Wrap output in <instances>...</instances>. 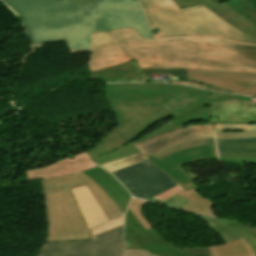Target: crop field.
Segmentation results:
<instances>
[{"label":"crop field","mask_w":256,"mask_h":256,"mask_svg":"<svg viewBox=\"0 0 256 256\" xmlns=\"http://www.w3.org/2000/svg\"><path fill=\"white\" fill-rule=\"evenodd\" d=\"M108 101L118 126L106 134L101 144L117 135L129 143L156 122L170 115L158 106L171 98L165 84H105Z\"/></svg>","instance_id":"34b2d1b8"},{"label":"crop field","mask_w":256,"mask_h":256,"mask_svg":"<svg viewBox=\"0 0 256 256\" xmlns=\"http://www.w3.org/2000/svg\"><path fill=\"white\" fill-rule=\"evenodd\" d=\"M228 5L248 17L256 23V6L246 0H230L226 2ZM253 6V7H251ZM244 16V17H245Z\"/></svg>","instance_id":"730fd06b"},{"label":"crop field","mask_w":256,"mask_h":256,"mask_svg":"<svg viewBox=\"0 0 256 256\" xmlns=\"http://www.w3.org/2000/svg\"><path fill=\"white\" fill-rule=\"evenodd\" d=\"M215 139L256 138V132H214Z\"/></svg>","instance_id":"1d83c4d3"},{"label":"crop field","mask_w":256,"mask_h":256,"mask_svg":"<svg viewBox=\"0 0 256 256\" xmlns=\"http://www.w3.org/2000/svg\"><path fill=\"white\" fill-rule=\"evenodd\" d=\"M146 157L185 190L191 187L195 190L198 188L191 182L185 174L186 172L184 173L180 167L181 165L199 159H218L215 144L186 148L160 159H158L154 153Z\"/></svg>","instance_id":"d1516ede"},{"label":"crop field","mask_w":256,"mask_h":256,"mask_svg":"<svg viewBox=\"0 0 256 256\" xmlns=\"http://www.w3.org/2000/svg\"><path fill=\"white\" fill-rule=\"evenodd\" d=\"M219 155L256 157V139L216 140Z\"/></svg>","instance_id":"92a150f3"},{"label":"crop field","mask_w":256,"mask_h":256,"mask_svg":"<svg viewBox=\"0 0 256 256\" xmlns=\"http://www.w3.org/2000/svg\"><path fill=\"white\" fill-rule=\"evenodd\" d=\"M72 192L89 229L107 221L87 186L72 189Z\"/></svg>","instance_id":"214f88e0"},{"label":"crop field","mask_w":256,"mask_h":256,"mask_svg":"<svg viewBox=\"0 0 256 256\" xmlns=\"http://www.w3.org/2000/svg\"><path fill=\"white\" fill-rule=\"evenodd\" d=\"M200 124H211V123H197V124H189V125H186V126H183V127H188L190 125H200ZM179 128H182V127H179ZM175 129H178L176 128L175 126H173L170 122H168L167 124L161 126L160 128L148 133L147 135L143 136L142 138L132 142V144L134 143H137V142H140V141H143V140H146V139H149V138H152V137H155L157 135H160V134H163L165 132H170V131H173Z\"/></svg>","instance_id":"bd1437ed"},{"label":"crop field","mask_w":256,"mask_h":256,"mask_svg":"<svg viewBox=\"0 0 256 256\" xmlns=\"http://www.w3.org/2000/svg\"><path fill=\"white\" fill-rule=\"evenodd\" d=\"M249 31H251V32H253V33H255V34H256V27H255V28H253V29H251V30H249Z\"/></svg>","instance_id":"c035e120"},{"label":"crop field","mask_w":256,"mask_h":256,"mask_svg":"<svg viewBox=\"0 0 256 256\" xmlns=\"http://www.w3.org/2000/svg\"><path fill=\"white\" fill-rule=\"evenodd\" d=\"M82 173L95 181L113 199L121 211L125 212L131 195L113 176L99 167L82 171Z\"/></svg>","instance_id":"bc2a9ffb"},{"label":"crop field","mask_w":256,"mask_h":256,"mask_svg":"<svg viewBox=\"0 0 256 256\" xmlns=\"http://www.w3.org/2000/svg\"><path fill=\"white\" fill-rule=\"evenodd\" d=\"M152 74L179 76V80H186L187 69H140L136 61L99 69L91 72L90 83L96 82H144Z\"/></svg>","instance_id":"cbeb9de0"},{"label":"crop field","mask_w":256,"mask_h":256,"mask_svg":"<svg viewBox=\"0 0 256 256\" xmlns=\"http://www.w3.org/2000/svg\"><path fill=\"white\" fill-rule=\"evenodd\" d=\"M130 212H126L124 249H145L160 256H210L207 247L181 250L168 243L153 228L145 231Z\"/></svg>","instance_id":"3316defc"},{"label":"crop field","mask_w":256,"mask_h":256,"mask_svg":"<svg viewBox=\"0 0 256 256\" xmlns=\"http://www.w3.org/2000/svg\"><path fill=\"white\" fill-rule=\"evenodd\" d=\"M172 83H175V84H183V85H189V86H195V87H200V88H206V89H211V90H216V91L225 92V91L219 90V89H217V88H213V87H209V86H205V85H201V84H197V83H191V82H175V81H172Z\"/></svg>","instance_id":"0bd39190"},{"label":"crop field","mask_w":256,"mask_h":256,"mask_svg":"<svg viewBox=\"0 0 256 256\" xmlns=\"http://www.w3.org/2000/svg\"><path fill=\"white\" fill-rule=\"evenodd\" d=\"M205 137H214L212 132V125H200L182 128L174 132L165 133L155 138L134 144L141 153L100 166L110 172H113L121 168L147 160L144 157L145 155L157 151L163 147Z\"/></svg>","instance_id":"28ad6ade"},{"label":"crop field","mask_w":256,"mask_h":256,"mask_svg":"<svg viewBox=\"0 0 256 256\" xmlns=\"http://www.w3.org/2000/svg\"><path fill=\"white\" fill-rule=\"evenodd\" d=\"M254 100H256V98H253Z\"/></svg>","instance_id":"c21b1889"},{"label":"crop field","mask_w":256,"mask_h":256,"mask_svg":"<svg viewBox=\"0 0 256 256\" xmlns=\"http://www.w3.org/2000/svg\"><path fill=\"white\" fill-rule=\"evenodd\" d=\"M215 143L214 138H206V139H200V140H195V141H189V142H185V143H180V144H176V145H172L169 147H166L160 151L154 152L157 157H161L164 156L166 154H169L171 152L186 148V147H190V146H196V145H202V144H213Z\"/></svg>","instance_id":"eef30255"},{"label":"crop field","mask_w":256,"mask_h":256,"mask_svg":"<svg viewBox=\"0 0 256 256\" xmlns=\"http://www.w3.org/2000/svg\"><path fill=\"white\" fill-rule=\"evenodd\" d=\"M152 29L161 37H219L255 44L256 41L234 29L207 8L200 6L180 10L173 0H139ZM143 12V13H144Z\"/></svg>","instance_id":"412701ff"},{"label":"crop field","mask_w":256,"mask_h":256,"mask_svg":"<svg viewBox=\"0 0 256 256\" xmlns=\"http://www.w3.org/2000/svg\"><path fill=\"white\" fill-rule=\"evenodd\" d=\"M219 158H220V161L241 162V163H256V158L227 157V156H219Z\"/></svg>","instance_id":"5866460e"},{"label":"crop field","mask_w":256,"mask_h":256,"mask_svg":"<svg viewBox=\"0 0 256 256\" xmlns=\"http://www.w3.org/2000/svg\"><path fill=\"white\" fill-rule=\"evenodd\" d=\"M166 86L169 89L173 98L160 104V106L162 109H164L173 116L179 114L181 111L199 105L200 103L207 100L229 95L226 93L206 91L187 86L170 84H166Z\"/></svg>","instance_id":"5142ce71"},{"label":"crop field","mask_w":256,"mask_h":256,"mask_svg":"<svg viewBox=\"0 0 256 256\" xmlns=\"http://www.w3.org/2000/svg\"><path fill=\"white\" fill-rule=\"evenodd\" d=\"M84 183L88 186L91 193L97 200L98 204L102 208L103 212L107 216L108 220L122 214L117 205L111 200V198L91 179L86 177L81 172L78 173Z\"/></svg>","instance_id":"00972430"},{"label":"crop field","mask_w":256,"mask_h":256,"mask_svg":"<svg viewBox=\"0 0 256 256\" xmlns=\"http://www.w3.org/2000/svg\"><path fill=\"white\" fill-rule=\"evenodd\" d=\"M90 23L92 34L133 28L145 39L154 38L138 0H94Z\"/></svg>","instance_id":"dd49c442"},{"label":"crop field","mask_w":256,"mask_h":256,"mask_svg":"<svg viewBox=\"0 0 256 256\" xmlns=\"http://www.w3.org/2000/svg\"><path fill=\"white\" fill-rule=\"evenodd\" d=\"M177 195L182 196L190 201L179 209L190 213H200L216 217L210 209L213 203L201 196L193 188L187 191L184 190Z\"/></svg>","instance_id":"a9b5d70f"},{"label":"crop field","mask_w":256,"mask_h":256,"mask_svg":"<svg viewBox=\"0 0 256 256\" xmlns=\"http://www.w3.org/2000/svg\"><path fill=\"white\" fill-rule=\"evenodd\" d=\"M204 106L212 122L256 123V102L222 101Z\"/></svg>","instance_id":"d9b57169"},{"label":"crop field","mask_w":256,"mask_h":256,"mask_svg":"<svg viewBox=\"0 0 256 256\" xmlns=\"http://www.w3.org/2000/svg\"><path fill=\"white\" fill-rule=\"evenodd\" d=\"M22 19L34 46L65 40L71 53L91 51V5L70 0H3Z\"/></svg>","instance_id":"ac0d7876"},{"label":"crop field","mask_w":256,"mask_h":256,"mask_svg":"<svg viewBox=\"0 0 256 256\" xmlns=\"http://www.w3.org/2000/svg\"><path fill=\"white\" fill-rule=\"evenodd\" d=\"M91 71L136 59L140 68L256 72V46L214 38L142 40L125 29L92 35Z\"/></svg>","instance_id":"8a807250"},{"label":"crop field","mask_w":256,"mask_h":256,"mask_svg":"<svg viewBox=\"0 0 256 256\" xmlns=\"http://www.w3.org/2000/svg\"><path fill=\"white\" fill-rule=\"evenodd\" d=\"M187 80L232 93L256 96V73L188 69Z\"/></svg>","instance_id":"22f410ed"},{"label":"crop field","mask_w":256,"mask_h":256,"mask_svg":"<svg viewBox=\"0 0 256 256\" xmlns=\"http://www.w3.org/2000/svg\"><path fill=\"white\" fill-rule=\"evenodd\" d=\"M112 174L133 196L146 200L177 185L149 160L113 172Z\"/></svg>","instance_id":"5a996713"},{"label":"crop field","mask_w":256,"mask_h":256,"mask_svg":"<svg viewBox=\"0 0 256 256\" xmlns=\"http://www.w3.org/2000/svg\"><path fill=\"white\" fill-rule=\"evenodd\" d=\"M214 131H256V124H220L213 123Z\"/></svg>","instance_id":"750c4746"},{"label":"crop field","mask_w":256,"mask_h":256,"mask_svg":"<svg viewBox=\"0 0 256 256\" xmlns=\"http://www.w3.org/2000/svg\"><path fill=\"white\" fill-rule=\"evenodd\" d=\"M226 244L208 247L211 256H256V227L227 219L200 216Z\"/></svg>","instance_id":"d8731c3e"},{"label":"crop field","mask_w":256,"mask_h":256,"mask_svg":"<svg viewBox=\"0 0 256 256\" xmlns=\"http://www.w3.org/2000/svg\"><path fill=\"white\" fill-rule=\"evenodd\" d=\"M47 212L45 242L90 239L88 230L70 189L84 186L77 173L40 180Z\"/></svg>","instance_id":"f4fd0767"},{"label":"crop field","mask_w":256,"mask_h":256,"mask_svg":"<svg viewBox=\"0 0 256 256\" xmlns=\"http://www.w3.org/2000/svg\"><path fill=\"white\" fill-rule=\"evenodd\" d=\"M222 100H247L252 102L251 98H248V97L230 95L228 97L219 98L217 100H210L206 103L222 101ZM206 103H202L197 107H193L191 109H188L185 112H182L181 114L177 115L174 120L170 122L176 127H179L188 123L211 122L208 116V112L203 106V104H206Z\"/></svg>","instance_id":"dafd665d"},{"label":"crop field","mask_w":256,"mask_h":256,"mask_svg":"<svg viewBox=\"0 0 256 256\" xmlns=\"http://www.w3.org/2000/svg\"><path fill=\"white\" fill-rule=\"evenodd\" d=\"M95 162L87 152L74 157L61 159L49 166L26 171L29 181L45 179L64 174L82 171L88 168L96 167Z\"/></svg>","instance_id":"733c2abd"},{"label":"crop field","mask_w":256,"mask_h":256,"mask_svg":"<svg viewBox=\"0 0 256 256\" xmlns=\"http://www.w3.org/2000/svg\"><path fill=\"white\" fill-rule=\"evenodd\" d=\"M136 153H139V151L136 149L134 145L129 143L117 148L112 152L99 155L93 159L95 160L96 164L100 165Z\"/></svg>","instance_id":"4177f3b9"},{"label":"crop field","mask_w":256,"mask_h":256,"mask_svg":"<svg viewBox=\"0 0 256 256\" xmlns=\"http://www.w3.org/2000/svg\"><path fill=\"white\" fill-rule=\"evenodd\" d=\"M123 220H124V215L115 219V220H113V221H108V222L92 229V235L100 233V232L108 230V229H111V228H114L116 226L122 225Z\"/></svg>","instance_id":"120bbe31"},{"label":"crop field","mask_w":256,"mask_h":256,"mask_svg":"<svg viewBox=\"0 0 256 256\" xmlns=\"http://www.w3.org/2000/svg\"><path fill=\"white\" fill-rule=\"evenodd\" d=\"M174 2L177 6L185 8L203 5L242 33L256 40V35L248 31L256 25L225 3L219 5L214 0H174Z\"/></svg>","instance_id":"4a817a6b"},{"label":"crop field","mask_w":256,"mask_h":256,"mask_svg":"<svg viewBox=\"0 0 256 256\" xmlns=\"http://www.w3.org/2000/svg\"><path fill=\"white\" fill-rule=\"evenodd\" d=\"M182 190H184V189L178 185V186L150 199V201L161 203Z\"/></svg>","instance_id":"d32e631a"},{"label":"crop field","mask_w":256,"mask_h":256,"mask_svg":"<svg viewBox=\"0 0 256 256\" xmlns=\"http://www.w3.org/2000/svg\"><path fill=\"white\" fill-rule=\"evenodd\" d=\"M74 1H79V2H84V3L91 4L93 0H74Z\"/></svg>","instance_id":"b80d0937"},{"label":"crop field","mask_w":256,"mask_h":256,"mask_svg":"<svg viewBox=\"0 0 256 256\" xmlns=\"http://www.w3.org/2000/svg\"><path fill=\"white\" fill-rule=\"evenodd\" d=\"M187 202H189V201L175 195L163 203L178 208Z\"/></svg>","instance_id":"028f5c9d"},{"label":"crop field","mask_w":256,"mask_h":256,"mask_svg":"<svg viewBox=\"0 0 256 256\" xmlns=\"http://www.w3.org/2000/svg\"><path fill=\"white\" fill-rule=\"evenodd\" d=\"M146 201H142L136 198H132L128 209L139 221V223L144 227L145 230L152 228L144 216L140 213L142 207L146 204Z\"/></svg>","instance_id":"d3111659"},{"label":"crop field","mask_w":256,"mask_h":256,"mask_svg":"<svg viewBox=\"0 0 256 256\" xmlns=\"http://www.w3.org/2000/svg\"><path fill=\"white\" fill-rule=\"evenodd\" d=\"M123 225L91 240L43 243L37 256H122Z\"/></svg>","instance_id":"e52e79f7"},{"label":"crop field","mask_w":256,"mask_h":256,"mask_svg":"<svg viewBox=\"0 0 256 256\" xmlns=\"http://www.w3.org/2000/svg\"><path fill=\"white\" fill-rule=\"evenodd\" d=\"M125 143L126 142L124 140L117 136L93 149L87 150V152L90 154L91 157H95L99 154L106 153L113 149H116L118 146H121Z\"/></svg>","instance_id":"ae1a2a85"},{"label":"crop field","mask_w":256,"mask_h":256,"mask_svg":"<svg viewBox=\"0 0 256 256\" xmlns=\"http://www.w3.org/2000/svg\"><path fill=\"white\" fill-rule=\"evenodd\" d=\"M124 256H157L145 250H124Z\"/></svg>","instance_id":"e1f06a70"}]
</instances>
